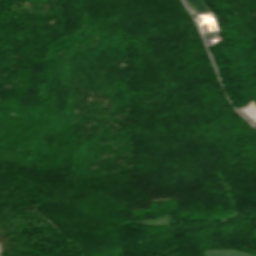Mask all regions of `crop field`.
<instances>
[{
	"label": "crop field",
	"mask_w": 256,
	"mask_h": 256,
	"mask_svg": "<svg viewBox=\"0 0 256 256\" xmlns=\"http://www.w3.org/2000/svg\"><path fill=\"white\" fill-rule=\"evenodd\" d=\"M206 256H250L247 253L235 249L205 250Z\"/></svg>",
	"instance_id": "1"
},
{
	"label": "crop field",
	"mask_w": 256,
	"mask_h": 256,
	"mask_svg": "<svg viewBox=\"0 0 256 256\" xmlns=\"http://www.w3.org/2000/svg\"><path fill=\"white\" fill-rule=\"evenodd\" d=\"M185 2L188 4L189 9L192 11L193 14L209 11L203 0H187Z\"/></svg>",
	"instance_id": "2"
}]
</instances>
